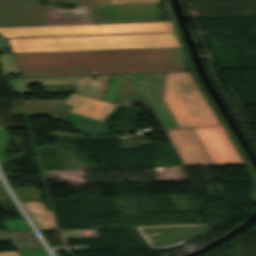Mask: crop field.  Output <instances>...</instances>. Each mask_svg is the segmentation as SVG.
<instances>
[{"label": "crop field", "instance_id": "crop-field-1", "mask_svg": "<svg viewBox=\"0 0 256 256\" xmlns=\"http://www.w3.org/2000/svg\"><path fill=\"white\" fill-rule=\"evenodd\" d=\"M163 73L144 74L140 93L152 104L184 165L211 164L191 129L177 130L162 100ZM163 99L179 128L190 127L214 165L243 164L219 120L189 72L166 73ZM63 104L72 106L61 120L72 129L97 136L109 132L102 122L117 105L71 93Z\"/></svg>", "mask_w": 256, "mask_h": 256}, {"label": "crop field", "instance_id": "crop-field-2", "mask_svg": "<svg viewBox=\"0 0 256 256\" xmlns=\"http://www.w3.org/2000/svg\"><path fill=\"white\" fill-rule=\"evenodd\" d=\"M13 54L24 77L188 71L180 48ZM96 71V73H92Z\"/></svg>", "mask_w": 256, "mask_h": 256}, {"label": "crop field", "instance_id": "crop-field-3", "mask_svg": "<svg viewBox=\"0 0 256 256\" xmlns=\"http://www.w3.org/2000/svg\"><path fill=\"white\" fill-rule=\"evenodd\" d=\"M163 21L160 4L0 9V27Z\"/></svg>", "mask_w": 256, "mask_h": 256}, {"label": "crop field", "instance_id": "crop-field-4", "mask_svg": "<svg viewBox=\"0 0 256 256\" xmlns=\"http://www.w3.org/2000/svg\"><path fill=\"white\" fill-rule=\"evenodd\" d=\"M8 43L13 53L180 47L174 33L23 37Z\"/></svg>", "mask_w": 256, "mask_h": 256}, {"label": "crop field", "instance_id": "crop-field-5", "mask_svg": "<svg viewBox=\"0 0 256 256\" xmlns=\"http://www.w3.org/2000/svg\"><path fill=\"white\" fill-rule=\"evenodd\" d=\"M153 32L174 31L170 22L111 23L0 28V34L3 35L5 38L12 36L22 37Z\"/></svg>", "mask_w": 256, "mask_h": 256}, {"label": "crop field", "instance_id": "crop-field-6", "mask_svg": "<svg viewBox=\"0 0 256 256\" xmlns=\"http://www.w3.org/2000/svg\"><path fill=\"white\" fill-rule=\"evenodd\" d=\"M111 75L95 76H65L14 78L7 83L15 93L33 92L26 89L28 84H41L46 93L70 92L101 99Z\"/></svg>", "mask_w": 256, "mask_h": 256}, {"label": "crop field", "instance_id": "crop-field-7", "mask_svg": "<svg viewBox=\"0 0 256 256\" xmlns=\"http://www.w3.org/2000/svg\"><path fill=\"white\" fill-rule=\"evenodd\" d=\"M67 2L68 5H101V4H140L159 3L164 0H52L46 1L47 6L52 3Z\"/></svg>", "mask_w": 256, "mask_h": 256}, {"label": "crop field", "instance_id": "crop-field-8", "mask_svg": "<svg viewBox=\"0 0 256 256\" xmlns=\"http://www.w3.org/2000/svg\"><path fill=\"white\" fill-rule=\"evenodd\" d=\"M3 74L20 73L11 54H0Z\"/></svg>", "mask_w": 256, "mask_h": 256}, {"label": "crop field", "instance_id": "crop-field-9", "mask_svg": "<svg viewBox=\"0 0 256 256\" xmlns=\"http://www.w3.org/2000/svg\"><path fill=\"white\" fill-rule=\"evenodd\" d=\"M38 0H0V7L37 6Z\"/></svg>", "mask_w": 256, "mask_h": 256}, {"label": "crop field", "instance_id": "crop-field-10", "mask_svg": "<svg viewBox=\"0 0 256 256\" xmlns=\"http://www.w3.org/2000/svg\"><path fill=\"white\" fill-rule=\"evenodd\" d=\"M1 221L3 223L4 228L7 229L8 231L29 229L24 219L1 220Z\"/></svg>", "mask_w": 256, "mask_h": 256}, {"label": "crop field", "instance_id": "crop-field-11", "mask_svg": "<svg viewBox=\"0 0 256 256\" xmlns=\"http://www.w3.org/2000/svg\"><path fill=\"white\" fill-rule=\"evenodd\" d=\"M21 256H48L44 249L18 251Z\"/></svg>", "mask_w": 256, "mask_h": 256}, {"label": "crop field", "instance_id": "crop-field-12", "mask_svg": "<svg viewBox=\"0 0 256 256\" xmlns=\"http://www.w3.org/2000/svg\"><path fill=\"white\" fill-rule=\"evenodd\" d=\"M0 256H18L15 251L10 252H0Z\"/></svg>", "mask_w": 256, "mask_h": 256}, {"label": "crop field", "instance_id": "crop-field-13", "mask_svg": "<svg viewBox=\"0 0 256 256\" xmlns=\"http://www.w3.org/2000/svg\"><path fill=\"white\" fill-rule=\"evenodd\" d=\"M0 46L3 47V48L8 47L6 40H1V41H0Z\"/></svg>", "mask_w": 256, "mask_h": 256}, {"label": "crop field", "instance_id": "crop-field-14", "mask_svg": "<svg viewBox=\"0 0 256 256\" xmlns=\"http://www.w3.org/2000/svg\"><path fill=\"white\" fill-rule=\"evenodd\" d=\"M0 38H2V37H0Z\"/></svg>", "mask_w": 256, "mask_h": 256}]
</instances>
